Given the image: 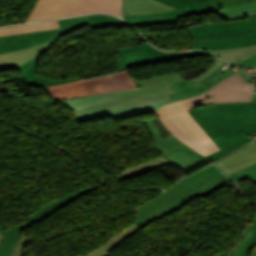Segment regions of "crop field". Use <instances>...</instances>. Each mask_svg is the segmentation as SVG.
Here are the masks:
<instances>
[{
    "label": "crop field",
    "mask_w": 256,
    "mask_h": 256,
    "mask_svg": "<svg viewBox=\"0 0 256 256\" xmlns=\"http://www.w3.org/2000/svg\"><path fill=\"white\" fill-rule=\"evenodd\" d=\"M228 253H223V254H219V255H216V256H226Z\"/></svg>",
    "instance_id": "c21b1889"
},
{
    "label": "crop field",
    "mask_w": 256,
    "mask_h": 256,
    "mask_svg": "<svg viewBox=\"0 0 256 256\" xmlns=\"http://www.w3.org/2000/svg\"><path fill=\"white\" fill-rule=\"evenodd\" d=\"M61 29L0 37V53L33 47L61 37L63 34L89 25L88 16L58 20Z\"/></svg>",
    "instance_id": "5a996713"
},
{
    "label": "crop field",
    "mask_w": 256,
    "mask_h": 256,
    "mask_svg": "<svg viewBox=\"0 0 256 256\" xmlns=\"http://www.w3.org/2000/svg\"><path fill=\"white\" fill-rule=\"evenodd\" d=\"M256 244V217L249 224L243 240L236 246L229 256H249L250 250Z\"/></svg>",
    "instance_id": "a9b5d70f"
},
{
    "label": "crop field",
    "mask_w": 256,
    "mask_h": 256,
    "mask_svg": "<svg viewBox=\"0 0 256 256\" xmlns=\"http://www.w3.org/2000/svg\"><path fill=\"white\" fill-rule=\"evenodd\" d=\"M138 88L128 70L44 88L55 100Z\"/></svg>",
    "instance_id": "412701ff"
},
{
    "label": "crop field",
    "mask_w": 256,
    "mask_h": 256,
    "mask_svg": "<svg viewBox=\"0 0 256 256\" xmlns=\"http://www.w3.org/2000/svg\"><path fill=\"white\" fill-rule=\"evenodd\" d=\"M168 164H171V162L167 161L164 157L152 160L150 162L122 171L118 181Z\"/></svg>",
    "instance_id": "730fd06b"
},
{
    "label": "crop field",
    "mask_w": 256,
    "mask_h": 256,
    "mask_svg": "<svg viewBox=\"0 0 256 256\" xmlns=\"http://www.w3.org/2000/svg\"><path fill=\"white\" fill-rule=\"evenodd\" d=\"M118 52L120 57V63L116 64L118 71L161 61L202 56L196 53H166L151 47L147 43L120 47Z\"/></svg>",
    "instance_id": "3316defc"
},
{
    "label": "crop field",
    "mask_w": 256,
    "mask_h": 256,
    "mask_svg": "<svg viewBox=\"0 0 256 256\" xmlns=\"http://www.w3.org/2000/svg\"><path fill=\"white\" fill-rule=\"evenodd\" d=\"M174 9L176 8L165 5L157 0H124L123 15L150 14Z\"/></svg>",
    "instance_id": "bc2a9ffb"
},
{
    "label": "crop field",
    "mask_w": 256,
    "mask_h": 256,
    "mask_svg": "<svg viewBox=\"0 0 256 256\" xmlns=\"http://www.w3.org/2000/svg\"><path fill=\"white\" fill-rule=\"evenodd\" d=\"M155 113L173 136L197 152L207 156L219 150L180 101L164 105Z\"/></svg>",
    "instance_id": "ac0d7876"
},
{
    "label": "crop field",
    "mask_w": 256,
    "mask_h": 256,
    "mask_svg": "<svg viewBox=\"0 0 256 256\" xmlns=\"http://www.w3.org/2000/svg\"><path fill=\"white\" fill-rule=\"evenodd\" d=\"M186 29L194 40L217 38L254 31L248 19L211 25H197Z\"/></svg>",
    "instance_id": "22f410ed"
},
{
    "label": "crop field",
    "mask_w": 256,
    "mask_h": 256,
    "mask_svg": "<svg viewBox=\"0 0 256 256\" xmlns=\"http://www.w3.org/2000/svg\"><path fill=\"white\" fill-rule=\"evenodd\" d=\"M225 65L226 63L221 65L211 75H209L206 79L202 80L200 83L196 85L194 84L193 80L170 84L174 92V94H171L170 97L172 98V100H174V99L190 96L193 94H197L207 89L210 86L206 85L205 83L217 77L218 75L222 74L223 71H221L220 69Z\"/></svg>",
    "instance_id": "92a150f3"
},
{
    "label": "crop field",
    "mask_w": 256,
    "mask_h": 256,
    "mask_svg": "<svg viewBox=\"0 0 256 256\" xmlns=\"http://www.w3.org/2000/svg\"><path fill=\"white\" fill-rule=\"evenodd\" d=\"M229 176L236 182H239L240 180L246 177H249L255 184L256 183V163L240 171H237Z\"/></svg>",
    "instance_id": "bd1437ed"
},
{
    "label": "crop field",
    "mask_w": 256,
    "mask_h": 256,
    "mask_svg": "<svg viewBox=\"0 0 256 256\" xmlns=\"http://www.w3.org/2000/svg\"><path fill=\"white\" fill-rule=\"evenodd\" d=\"M223 77H225L223 74L222 75H220V76H218L217 78H215V79H213V80H211L210 82H208V83H206V84H208V85H213L214 83H216L217 81H219L221 78H223Z\"/></svg>",
    "instance_id": "0bd39190"
},
{
    "label": "crop field",
    "mask_w": 256,
    "mask_h": 256,
    "mask_svg": "<svg viewBox=\"0 0 256 256\" xmlns=\"http://www.w3.org/2000/svg\"><path fill=\"white\" fill-rule=\"evenodd\" d=\"M224 10L225 11L223 12L217 13V15L229 20L249 17L256 15V3L248 4L245 6L231 7Z\"/></svg>",
    "instance_id": "eef30255"
},
{
    "label": "crop field",
    "mask_w": 256,
    "mask_h": 256,
    "mask_svg": "<svg viewBox=\"0 0 256 256\" xmlns=\"http://www.w3.org/2000/svg\"><path fill=\"white\" fill-rule=\"evenodd\" d=\"M221 64H223V62L221 61H217L210 69H208L204 74L198 76L197 78L193 79L195 84L199 81H201L202 79L206 78L210 73H212L216 68H218Z\"/></svg>",
    "instance_id": "d32e631a"
},
{
    "label": "crop field",
    "mask_w": 256,
    "mask_h": 256,
    "mask_svg": "<svg viewBox=\"0 0 256 256\" xmlns=\"http://www.w3.org/2000/svg\"><path fill=\"white\" fill-rule=\"evenodd\" d=\"M147 126L148 131L154 137V147L159 150L163 155L171 159L176 165H178L187 174L212 163L206 157L198 154L187 145L181 143L171 134L166 138L161 136L160 131L155 127L152 120L143 121Z\"/></svg>",
    "instance_id": "e52e79f7"
},
{
    "label": "crop field",
    "mask_w": 256,
    "mask_h": 256,
    "mask_svg": "<svg viewBox=\"0 0 256 256\" xmlns=\"http://www.w3.org/2000/svg\"><path fill=\"white\" fill-rule=\"evenodd\" d=\"M101 186L95 185L84 190L75 192L73 194L67 195L49 205L42 208L41 210L37 211L36 213L32 214L31 216L27 217L29 221H26L8 231L1 230L5 237L0 244V256H10L11 250L13 245L16 243L17 239L21 235V230L25 229L27 226L33 224L34 222L40 220L41 218L47 216L48 214L52 213L53 211L59 209L60 207L66 205L67 203L85 195Z\"/></svg>",
    "instance_id": "d1516ede"
},
{
    "label": "crop field",
    "mask_w": 256,
    "mask_h": 256,
    "mask_svg": "<svg viewBox=\"0 0 256 256\" xmlns=\"http://www.w3.org/2000/svg\"><path fill=\"white\" fill-rule=\"evenodd\" d=\"M192 50H196V51H202V52H207L213 56H218V51L219 50H214V49H203V48H193Z\"/></svg>",
    "instance_id": "028f5c9d"
},
{
    "label": "crop field",
    "mask_w": 256,
    "mask_h": 256,
    "mask_svg": "<svg viewBox=\"0 0 256 256\" xmlns=\"http://www.w3.org/2000/svg\"><path fill=\"white\" fill-rule=\"evenodd\" d=\"M251 140H253V139L247 137V138H245V139L235 143L234 145H232V146H230V147H228V148H226V149H224L222 151L219 150V151H217V152H215V153H213V154H211V155H209L207 157L210 160H212L213 162H215L218 158L228 154L229 152L233 151L234 149L240 147L241 145H243V144H245V143H247V142H249Z\"/></svg>",
    "instance_id": "1d83c4d3"
},
{
    "label": "crop field",
    "mask_w": 256,
    "mask_h": 256,
    "mask_svg": "<svg viewBox=\"0 0 256 256\" xmlns=\"http://www.w3.org/2000/svg\"><path fill=\"white\" fill-rule=\"evenodd\" d=\"M189 112L221 150L256 131V102L208 104Z\"/></svg>",
    "instance_id": "8a807250"
},
{
    "label": "crop field",
    "mask_w": 256,
    "mask_h": 256,
    "mask_svg": "<svg viewBox=\"0 0 256 256\" xmlns=\"http://www.w3.org/2000/svg\"><path fill=\"white\" fill-rule=\"evenodd\" d=\"M256 44V32H249L217 39L194 41V47L228 49Z\"/></svg>",
    "instance_id": "733c2abd"
},
{
    "label": "crop field",
    "mask_w": 256,
    "mask_h": 256,
    "mask_svg": "<svg viewBox=\"0 0 256 256\" xmlns=\"http://www.w3.org/2000/svg\"><path fill=\"white\" fill-rule=\"evenodd\" d=\"M171 93L172 92L163 93V94H156V95H150V96L137 97V98H132V99H115V100L116 101H129V100H136V99H142V98L153 97V96L168 95V94H171Z\"/></svg>",
    "instance_id": "e1f06a70"
},
{
    "label": "crop field",
    "mask_w": 256,
    "mask_h": 256,
    "mask_svg": "<svg viewBox=\"0 0 256 256\" xmlns=\"http://www.w3.org/2000/svg\"><path fill=\"white\" fill-rule=\"evenodd\" d=\"M256 162V143L252 142L214 163L227 175Z\"/></svg>",
    "instance_id": "5142ce71"
},
{
    "label": "crop field",
    "mask_w": 256,
    "mask_h": 256,
    "mask_svg": "<svg viewBox=\"0 0 256 256\" xmlns=\"http://www.w3.org/2000/svg\"><path fill=\"white\" fill-rule=\"evenodd\" d=\"M219 58L234 64L256 54V45L241 47L237 49L220 50Z\"/></svg>",
    "instance_id": "4177f3b9"
},
{
    "label": "crop field",
    "mask_w": 256,
    "mask_h": 256,
    "mask_svg": "<svg viewBox=\"0 0 256 256\" xmlns=\"http://www.w3.org/2000/svg\"><path fill=\"white\" fill-rule=\"evenodd\" d=\"M56 40L47 42L45 44H42V45H39V46H36L33 48L1 54L0 55V72L16 68L18 65L36 57L42 53L49 51L51 45Z\"/></svg>",
    "instance_id": "d9b57169"
},
{
    "label": "crop field",
    "mask_w": 256,
    "mask_h": 256,
    "mask_svg": "<svg viewBox=\"0 0 256 256\" xmlns=\"http://www.w3.org/2000/svg\"><path fill=\"white\" fill-rule=\"evenodd\" d=\"M250 256H256V246L251 250Z\"/></svg>",
    "instance_id": "c035e120"
},
{
    "label": "crop field",
    "mask_w": 256,
    "mask_h": 256,
    "mask_svg": "<svg viewBox=\"0 0 256 256\" xmlns=\"http://www.w3.org/2000/svg\"><path fill=\"white\" fill-rule=\"evenodd\" d=\"M140 228L137 226L131 225L126 229L122 230L121 233L111 237L106 243L100 245L95 251L85 256H110L107 252L112 250L115 246L120 244L126 237L135 233ZM28 239L21 236L18 242L15 244L11 256H21L22 250L25 247ZM114 244V245H112Z\"/></svg>",
    "instance_id": "4a817a6b"
},
{
    "label": "crop field",
    "mask_w": 256,
    "mask_h": 256,
    "mask_svg": "<svg viewBox=\"0 0 256 256\" xmlns=\"http://www.w3.org/2000/svg\"><path fill=\"white\" fill-rule=\"evenodd\" d=\"M114 96L113 93L104 94V95H97L91 97H79L73 99L62 100V104L69 106L74 112L77 110L113 102Z\"/></svg>",
    "instance_id": "dafd665d"
},
{
    "label": "crop field",
    "mask_w": 256,
    "mask_h": 256,
    "mask_svg": "<svg viewBox=\"0 0 256 256\" xmlns=\"http://www.w3.org/2000/svg\"><path fill=\"white\" fill-rule=\"evenodd\" d=\"M172 91L169 84L114 93L115 98H131Z\"/></svg>",
    "instance_id": "ae1a2a85"
},
{
    "label": "crop field",
    "mask_w": 256,
    "mask_h": 256,
    "mask_svg": "<svg viewBox=\"0 0 256 256\" xmlns=\"http://www.w3.org/2000/svg\"><path fill=\"white\" fill-rule=\"evenodd\" d=\"M220 174V171L213 165H210L202 170H199L185 179L179 181L150 202L139 208L136 221L143 216L179 199L182 198L198 188L224 176Z\"/></svg>",
    "instance_id": "dd49c442"
},
{
    "label": "crop field",
    "mask_w": 256,
    "mask_h": 256,
    "mask_svg": "<svg viewBox=\"0 0 256 256\" xmlns=\"http://www.w3.org/2000/svg\"><path fill=\"white\" fill-rule=\"evenodd\" d=\"M242 80L238 74L234 75L213 87L208 92L197 97L181 100V102L189 109L208 103L251 101L255 85H244L241 82Z\"/></svg>",
    "instance_id": "d8731c3e"
},
{
    "label": "crop field",
    "mask_w": 256,
    "mask_h": 256,
    "mask_svg": "<svg viewBox=\"0 0 256 256\" xmlns=\"http://www.w3.org/2000/svg\"><path fill=\"white\" fill-rule=\"evenodd\" d=\"M37 61H38V57L17 67L18 70L21 72L24 81L29 86L46 87V86H50V85H55V84L78 80L77 78H75V79H46V78H42V77L36 75Z\"/></svg>",
    "instance_id": "214f88e0"
},
{
    "label": "crop field",
    "mask_w": 256,
    "mask_h": 256,
    "mask_svg": "<svg viewBox=\"0 0 256 256\" xmlns=\"http://www.w3.org/2000/svg\"><path fill=\"white\" fill-rule=\"evenodd\" d=\"M122 0H37L27 21L87 12H108L121 16Z\"/></svg>",
    "instance_id": "f4fd0767"
},
{
    "label": "crop field",
    "mask_w": 256,
    "mask_h": 256,
    "mask_svg": "<svg viewBox=\"0 0 256 256\" xmlns=\"http://www.w3.org/2000/svg\"><path fill=\"white\" fill-rule=\"evenodd\" d=\"M248 19H249L251 25L253 26V28H254L255 31H256V16H254V17H249Z\"/></svg>",
    "instance_id": "b80d0937"
},
{
    "label": "crop field",
    "mask_w": 256,
    "mask_h": 256,
    "mask_svg": "<svg viewBox=\"0 0 256 256\" xmlns=\"http://www.w3.org/2000/svg\"><path fill=\"white\" fill-rule=\"evenodd\" d=\"M237 65H240L242 67H253L255 68L256 67V55L238 63Z\"/></svg>",
    "instance_id": "5866460e"
},
{
    "label": "crop field",
    "mask_w": 256,
    "mask_h": 256,
    "mask_svg": "<svg viewBox=\"0 0 256 256\" xmlns=\"http://www.w3.org/2000/svg\"><path fill=\"white\" fill-rule=\"evenodd\" d=\"M238 73L244 80L242 81L244 84L249 82L250 73L244 72L242 70H238L233 72L232 74L226 76L225 78L221 79L216 84L220 83L224 79L228 78L231 75ZM214 84V85H216ZM213 85V86H214ZM211 86L210 88H212ZM203 91L202 93L208 91ZM201 94V93H200ZM199 95V94H197ZM196 96V95H193ZM192 97V96H190ZM188 98V97H186ZM184 99V98H182ZM181 100V99H178ZM174 100V101H178ZM168 96L162 97H153L148 99L136 100V101H129V102H114L82 111L75 112L77 117V122H86L93 119H100L106 116H112L114 120L122 119V118H129L137 115H142L146 113L154 112L160 106L174 102Z\"/></svg>",
    "instance_id": "34b2d1b8"
},
{
    "label": "crop field",
    "mask_w": 256,
    "mask_h": 256,
    "mask_svg": "<svg viewBox=\"0 0 256 256\" xmlns=\"http://www.w3.org/2000/svg\"><path fill=\"white\" fill-rule=\"evenodd\" d=\"M232 181L230 178H228L227 176L197 190L196 192L140 219L139 221L135 222V224L137 226H139L140 228H142L143 226L179 209L182 205H184L188 200L196 197V196H206L207 194L213 192L214 190L220 188L221 186L227 184L228 182ZM185 200V201H183Z\"/></svg>",
    "instance_id": "cbeb9de0"
},
{
    "label": "crop field",
    "mask_w": 256,
    "mask_h": 256,
    "mask_svg": "<svg viewBox=\"0 0 256 256\" xmlns=\"http://www.w3.org/2000/svg\"><path fill=\"white\" fill-rule=\"evenodd\" d=\"M57 28H60L57 20L20 25V26L4 27V28H0V36L34 32V31H42V30H49V29H57Z\"/></svg>",
    "instance_id": "00972430"
},
{
    "label": "crop field",
    "mask_w": 256,
    "mask_h": 256,
    "mask_svg": "<svg viewBox=\"0 0 256 256\" xmlns=\"http://www.w3.org/2000/svg\"><path fill=\"white\" fill-rule=\"evenodd\" d=\"M180 80H183L181 75L179 73H176V74H167L159 77H154L149 80H143L142 83H143V86L145 87V86L180 81Z\"/></svg>",
    "instance_id": "750c4746"
},
{
    "label": "crop field",
    "mask_w": 256,
    "mask_h": 256,
    "mask_svg": "<svg viewBox=\"0 0 256 256\" xmlns=\"http://www.w3.org/2000/svg\"><path fill=\"white\" fill-rule=\"evenodd\" d=\"M256 0H211L212 6L219 7L223 6V8L237 6V5H244L248 3L255 2Z\"/></svg>",
    "instance_id": "120bbe31"
},
{
    "label": "crop field",
    "mask_w": 256,
    "mask_h": 256,
    "mask_svg": "<svg viewBox=\"0 0 256 256\" xmlns=\"http://www.w3.org/2000/svg\"><path fill=\"white\" fill-rule=\"evenodd\" d=\"M91 29L110 26H127L123 21L108 15L89 16Z\"/></svg>",
    "instance_id": "d3111659"
},
{
    "label": "crop field",
    "mask_w": 256,
    "mask_h": 256,
    "mask_svg": "<svg viewBox=\"0 0 256 256\" xmlns=\"http://www.w3.org/2000/svg\"><path fill=\"white\" fill-rule=\"evenodd\" d=\"M3 234L2 233H0V242H1V240H2V238H3Z\"/></svg>",
    "instance_id": "03da06ac"
},
{
    "label": "crop field",
    "mask_w": 256,
    "mask_h": 256,
    "mask_svg": "<svg viewBox=\"0 0 256 256\" xmlns=\"http://www.w3.org/2000/svg\"><path fill=\"white\" fill-rule=\"evenodd\" d=\"M168 5L178 8L175 11L140 15L123 16L125 20L134 26L154 25L178 22L179 17L191 15V12L200 9L212 8L210 0H160Z\"/></svg>",
    "instance_id": "28ad6ade"
}]
</instances>
